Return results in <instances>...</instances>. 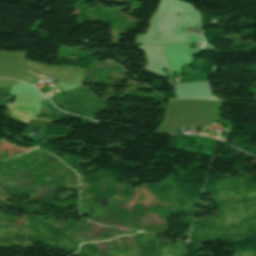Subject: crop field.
<instances>
[{"label": "crop field", "instance_id": "1", "mask_svg": "<svg viewBox=\"0 0 256 256\" xmlns=\"http://www.w3.org/2000/svg\"><path fill=\"white\" fill-rule=\"evenodd\" d=\"M7 105L12 113L11 116L27 122H29L31 118L37 119V115L40 111L39 109H35V108H31V107H27V106L15 104V103L13 105H9V104Z\"/></svg>", "mask_w": 256, "mask_h": 256}]
</instances>
